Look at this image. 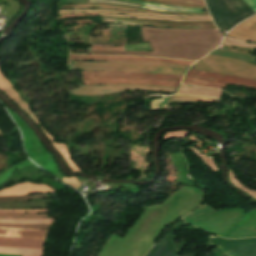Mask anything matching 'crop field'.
Returning <instances> with one entry per match:
<instances>
[{"label": "crop field", "instance_id": "crop-field-31", "mask_svg": "<svg viewBox=\"0 0 256 256\" xmlns=\"http://www.w3.org/2000/svg\"><path fill=\"white\" fill-rule=\"evenodd\" d=\"M0 137H3L1 133H0Z\"/></svg>", "mask_w": 256, "mask_h": 256}, {"label": "crop field", "instance_id": "crop-field-15", "mask_svg": "<svg viewBox=\"0 0 256 256\" xmlns=\"http://www.w3.org/2000/svg\"><path fill=\"white\" fill-rule=\"evenodd\" d=\"M146 256H177V254L168 235H166L149 251Z\"/></svg>", "mask_w": 256, "mask_h": 256}, {"label": "crop field", "instance_id": "crop-field-21", "mask_svg": "<svg viewBox=\"0 0 256 256\" xmlns=\"http://www.w3.org/2000/svg\"><path fill=\"white\" fill-rule=\"evenodd\" d=\"M0 227H18V228H46L48 229V225H18V224H2L0 223Z\"/></svg>", "mask_w": 256, "mask_h": 256}, {"label": "crop field", "instance_id": "crop-field-4", "mask_svg": "<svg viewBox=\"0 0 256 256\" xmlns=\"http://www.w3.org/2000/svg\"><path fill=\"white\" fill-rule=\"evenodd\" d=\"M244 211L245 210L238 208L218 211L190 225L197 226L218 236L235 238L240 229L234 228L233 226L241 218Z\"/></svg>", "mask_w": 256, "mask_h": 256}, {"label": "crop field", "instance_id": "crop-field-20", "mask_svg": "<svg viewBox=\"0 0 256 256\" xmlns=\"http://www.w3.org/2000/svg\"><path fill=\"white\" fill-rule=\"evenodd\" d=\"M167 100L168 98L151 100V111L165 109L168 103Z\"/></svg>", "mask_w": 256, "mask_h": 256}, {"label": "crop field", "instance_id": "crop-field-1", "mask_svg": "<svg viewBox=\"0 0 256 256\" xmlns=\"http://www.w3.org/2000/svg\"><path fill=\"white\" fill-rule=\"evenodd\" d=\"M203 196L200 190L183 185L162 204L147 206L123 238L113 233L98 256H143L161 231L202 203Z\"/></svg>", "mask_w": 256, "mask_h": 256}, {"label": "crop field", "instance_id": "crop-field-27", "mask_svg": "<svg viewBox=\"0 0 256 256\" xmlns=\"http://www.w3.org/2000/svg\"><path fill=\"white\" fill-rule=\"evenodd\" d=\"M142 1L155 2V3H161V4H169V5L186 6V7L206 8L205 6H193V5H185V4H176V3L161 2V1H155V0H142Z\"/></svg>", "mask_w": 256, "mask_h": 256}, {"label": "crop field", "instance_id": "crop-field-25", "mask_svg": "<svg viewBox=\"0 0 256 256\" xmlns=\"http://www.w3.org/2000/svg\"><path fill=\"white\" fill-rule=\"evenodd\" d=\"M165 1L185 3V4L205 5L203 0H165Z\"/></svg>", "mask_w": 256, "mask_h": 256}, {"label": "crop field", "instance_id": "crop-field-7", "mask_svg": "<svg viewBox=\"0 0 256 256\" xmlns=\"http://www.w3.org/2000/svg\"><path fill=\"white\" fill-rule=\"evenodd\" d=\"M176 88L156 87L145 85H81L80 88L71 90L70 94L101 95L115 92L147 91L173 93Z\"/></svg>", "mask_w": 256, "mask_h": 256}, {"label": "crop field", "instance_id": "crop-field-12", "mask_svg": "<svg viewBox=\"0 0 256 256\" xmlns=\"http://www.w3.org/2000/svg\"><path fill=\"white\" fill-rule=\"evenodd\" d=\"M46 234L47 230L0 228V237L45 239Z\"/></svg>", "mask_w": 256, "mask_h": 256}, {"label": "crop field", "instance_id": "crop-field-5", "mask_svg": "<svg viewBox=\"0 0 256 256\" xmlns=\"http://www.w3.org/2000/svg\"><path fill=\"white\" fill-rule=\"evenodd\" d=\"M193 68L213 73L256 79V65L213 55L200 61Z\"/></svg>", "mask_w": 256, "mask_h": 256}, {"label": "crop field", "instance_id": "crop-field-9", "mask_svg": "<svg viewBox=\"0 0 256 256\" xmlns=\"http://www.w3.org/2000/svg\"><path fill=\"white\" fill-rule=\"evenodd\" d=\"M69 60H98V61H141V62H165L178 65L191 66L195 62L161 59V58H147V57H128V56H80L71 55Z\"/></svg>", "mask_w": 256, "mask_h": 256}, {"label": "crop field", "instance_id": "crop-field-8", "mask_svg": "<svg viewBox=\"0 0 256 256\" xmlns=\"http://www.w3.org/2000/svg\"><path fill=\"white\" fill-rule=\"evenodd\" d=\"M209 242L216 243L228 256H256V238L227 240L211 235Z\"/></svg>", "mask_w": 256, "mask_h": 256}, {"label": "crop field", "instance_id": "crop-field-6", "mask_svg": "<svg viewBox=\"0 0 256 256\" xmlns=\"http://www.w3.org/2000/svg\"><path fill=\"white\" fill-rule=\"evenodd\" d=\"M183 83L205 87H216L222 89H224L225 84H232L256 89L255 80L235 76H224L194 69L190 70V72L185 77Z\"/></svg>", "mask_w": 256, "mask_h": 256}, {"label": "crop field", "instance_id": "crop-field-28", "mask_svg": "<svg viewBox=\"0 0 256 256\" xmlns=\"http://www.w3.org/2000/svg\"><path fill=\"white\" fill-rule=\"evenodd\" d=\"M168 101L218 102V101H212V100H196V99H184V98H175V97H170Z\"/></svg>", "mask_w": 256, "mask_h": 256}, {"label": "crop field", "instance_id": "crop-field-23", "mask_svg": "<svg viewBox=\"0 0 256 256\" xmlns=\"http://www.w3.org/2000/svg\"><path fill=\"white\" fill-rule=\"evenodd\" d=\"M147 50H151L150 44L130 45V51H147Z\"/></svg>", "mask_w": 256, "mask_h": 256}, {"label": "crop field", "instance_id": "crop-field-16", "mask_svg": "<svg viewBox=\"0 0 256 256\" xmlns=\"http://www.w3.org/2000/svg\"><path fill=\"white\" fill-rule=\"evenodd\" d=\"M52 221L53 219L51 218H3V217H0V222H3V223L51 224Z\"/></svg>", "mask_w": 256, "mask_h": 256}, {"label": "crop field", "instance_id": "crop-field-17", "mask_svg": "<svg viewBox=\"0 0 256 256\" xmlns=\"http://www.w3.org/2000/svg\"><path fill=\"white\" fill-rule=\"evenodd\" d=\"M218 210H220V209H218ZM213 211H217V210H215L214 208H212L209 205L204 203L203 205L199 206L194 211H192L191 213L186 215L183 218V220L189 224V223H191V222H193V221H195Z\"/></svg>", "mask_w": 256, "mask_h": 256}, {"label": "crop field", "instance_id": "crop-field-26", "mask_svg": "<svg viewBox=\"0 0 256 256\" xmlns=\"http://www.w3.org/2000/svg\"><path fill=\"white\" fill-rule=\"evenodd\" d=\"M47 214H34V215H10V214H0L3 217H46Z\"/></svg>", "mask_w": 256, "mask_h": 256}, {"label": "crop field", "instance_id": "crop-field-24", "mask_svg": "<svg viewBox=\"0 0 256 256\" xmlns=\"http://www.w3.org/2000/svg\"><path fill=\"white\" fill-rule=\"evenodd\" d=\"M247 237H256V232L241 229L239 234L236 236V238H247Z\"/></svg>", "mask_w": 256, "mask_h": 256}, {"label": "crop field", "instance_id": "crop-field-14", "mask_svg": "<svg viewBox=\"0 0 256 256\" xmlns=\"http://www.w3.org/2000/svg\"><path fill=\"white\" fill-rule=\"evenodd\" d=\"M69 8H107V9L155 12V13L176 14V15H208V14L165 13V12H156V11H150V10H144V9H136V8H128V7L112 6V5H101V4H72V5H60L59 6V9H69Z\"/></svg>", "mask_w": 256, "mask_h": 256}, {"label": "crop field", "instance_id": "crop-field-13", "mask_svg": "<svg viewBox=\"0 0 256 256\" xmlns=\"http://www.w3.org/2000/svg\"><path fill=\"white\" fill-rule=\"evenodd\" d=\"M45 240L0 238V246L43 249Z\"/></svg>", "mask_w": 256, "mask_h": 256}, {"label": "crop field", "instance_id": "crop-field-11", "mask_svg": "<svg viewBox=\"0 0 256 256\" xmlns=\"http://www.w3.org/2000/svg\"><path fill=\"white\" fill-rule=\"evenodd\" d=\"M228 36L256 42V17L248 19L233 29Z\"/></svg>", "mask_w": 256, "mask_h": 256}, {"label": "crop field", "instance_id": "crop-field-10", "mask_svg": "<svg viewBox=\"0 0 256 256\" xmlns=\"http://www.w3.org/2000/svg\"><path fill=\"white\" fill-rule=\"evenodd\" d=\"M174 96L221 99L222 91L216 89L198 88L181 84L179 91Z\"/></svg>", "mask_w": 256, "mask_h": 256}, {"label": "crop field", "instance_id": "crop-field-22", "mask_svg": "<svg viewBox=\"0 0 256 256\" xmlns=\"http://www.w3.org/2000/svg\"><path fill=\"white\" fill-rule=\"evenodd\" d=\"M0 213H47V209H43V210H0Z\"/></svg>", "mask_w": 256, "mask_h": 256}, {"label": "crop field", "instance_id": "crop-field-18", "mask_svg": "<svg viewBox=\"0 0 256 256\" xmlns=\"http://www.w3.org/2000/svg\"><path fill=\"white\" fill-rule=\"evenodd\" d=\"M42 252H43V250H36V249L0 247V253H2V254H16V255H23V256H41Z\"/></svg>", "mask_w": 256, "mask_h": 256}, {"label": "crop field", "instance_id": "crop-field-3", "mask_svg": "<svg viewBox=\"0 0 256 256\" xmlns=\"http://www.w3.org/2000/svg\"><path fill=\"white\" fill-rule=\"evenodd\" d=\"M79 70H115L130 72H145L155 74H171L183 76L189 67L177 66L165 63H141V62H68Z\"/></svg>", "mask_w": 256, "mask_h": 256}, {"label": "crop field", "instance_id": "crop-field-29", "mask_svg": "<svg viewBox=\"0 0 256 256\" xmlns=\"http://www.w3.org/2000/svg\"><path fill=\"white\" fill-rule=\"evenodd\" d=\"M256 12V0H244Z\"/></svg>", "mask_w": 256, "mask_h": 256}, {"label": "crop field", "instance_id": "crop-field-2", "mask_svg": "<svg viewBox=\"0 0 256 256\" xmlns=\"http://www.w3.org/2000/svg\"><path fill=\"white\" fill-rule=\"evenodd\" d=\"M84 84H145L177 87L182 77L144 73L94 71L82 72Z\"/></svg>", "mask_w": 256, "mask_h": 256}, {"label": "crop field", "instance_id": "crop-field-30", "mask_svg": "<svg viewBox=\"0 0 256 256\" xmlns=\"http://www.w3.org/2000/svg\"><path fill=\"white\" fill-rule=\"evenodd\" d=\"M0 256H16V255H2V254H0Z\"/></svg>", "mask_w": 256, "mask_h": 256}, {"label": "crop field", "instance_id": "crop-field-19", "mask_svg": "<svg viewBox=\"0 0 256 256\" xmlns=\"http://www.w3.org/2000/svg\"><path fill=\"white\" fill-rule=\"evenodd\" d=\"M52 197H57V195H39V196H29V197H0V201L30 200V199L52 198Z\"/></svg>", "mask_w": 256, "mask_h": 256}]
</instances>
